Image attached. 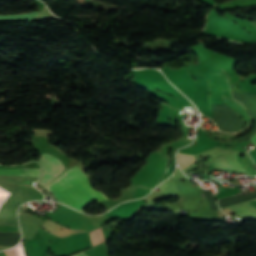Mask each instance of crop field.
Returning a JSON list of instances; mask_svg holds the SVG:
<instances>
[{
	"instance_id": "8a807250",
	"label": "crop field",
	"mask_w": 256,
	"mask_h": 256,
	"mask_svg": "<svg viewBox=\"0 0 256 256\" xmlns=\"http://www.w3.org/2000/svg\"><path fill=\"white\" fill-rule=\"evenodd\" d=\"M66 172L93 201L108 199L102 193L92 189L85 175L78 166L72 167ZM66 172L45 187H47L49 191L57 197L59 201L82 211L85 206L93 203V201L68 176Z\"/></svg>"
},
{
	"instance_id": "ac0d7876",
	"label": "crop field",
	"mask_w": 256,
	"mask_h": 256,
	"mask_svg": "<svg viewBox=\"0 0 256 256\" xmlns=\"http://www.w3.org/2000/svg\"><path fill=\"white\" fill-rule=\"evenodd\" d=\"M168 165V157L156 151L148 155L146 165L143 166L131 179V186L154 188L164 176ZM129 188V187H128Z\"/></svg>"
},
{
	"instance_id": "34b2d1b8",
	"label": "crop field",
	"mask_w": 256,
	"mask_h": 256,
	"mask_svg": "<svg viewBox=\"0 0 256 256\" xmlns=\"http://www.w3.org/2000/svg\"><path fill=\"white\" fill-rule=\"evenodd\" d=\"M39 161L42 164V185L50 183L65 169L58 158L47 153L42 154Z\"/></svg>"
},
{
	"instance_id": "412701ff",
	"label": "crop field",
	"mask_w": 256,
	"mask_h": 256,
	"mask_svg": "<svg viewBox=\"0 0 256 256\" xmlns=\"http://www.w3.org/2000/svg\"><path fill=\"white\" fill-rule=\"evenodd\" d=\"M1 175H26V176H38V169H2Z\"/></svg>"
},
{
	"instance_id": "f4fd0767",
	"label": "crop field",
	"mask_w": 256,
	"mask_h": 256,
	"mask_svg": "<svg viewBox=\"0 0 256 256\" xmlns=\"http://www.w3.org/2000/svg\"><path fill=\"white\" fill-rule=\"evenodd\" d=\"M224 102L227 106L234 109L243 118V120H245L247 122V125H249L250 118H249L246 110L240 104H238L230 99H224Z\"/></svg>"
},
{
	"instance_id": "dd49c442",
	"label": "crop field",
	"mask_w": 256,
	"mask_h": 256,
	"mask_svg": "<svg viewBox=\"0 0 256 256\" xmlns=\"http://www.w3.org/2000/svg\"><path fill=\"white\" fill-rule=\"evenodd\" d=\"M177 160L181 169L190 165L194 160L193 155L177 153Z\"/></svg>"
},
{
	"instance_id": "e52e79f7",
	"label": "crop field",
	"mask_w": 256,
	"mask_h": 256,
	"mask_svg": "<svg viewBox=\"0 0 256 256\" xmlns=\"http://www.w3.org/2000/svg\"><path fill=\"white\" fill-rule=\"evenodd\" d=\"M89 234L91 236L93 246L104 241L103 232L101 228L93 230L89 232Z\"/></svg>"
},
{
	"instance_id": "d8731c3e",
	"label": "crop field",
	"mask_w": 256,
	"mask_h": 256,
	"mask_svg": "<svg viewBox=\"0 0 256 256\" xmlns=\"http://www.w3.org/2000/svg\"><path fill=\"white\" fill-rule=\"evenodd\" d=\"M213 76L219 82L221 90H225V89H229L230 88L228 78H227V76L225 74L214 73Z\"/></svg>"
},
{
	"instance_id": "5a996713",
	"label": "crop field",
	"mask_w": 256,
	"mask_h": 256,
	"mask_svg": "<svg viewBox=\"0 0 256 256\" xmlns=\"http://www.w3.org/2000/svg\"><path fill=\"white\" fill-rule=\"evenodd\" d=\"M6 256H25V252L22 246V243H20L18 246L4 251Z\"/></svg>"
},
{
	"instance_id": "3316defc",
	"label": "crop field",
	"mask_w": 256,
	"mask_h": 256,
	"mask_svg": "<svg viewBox=\"0 0 256 256\" xmlns=\"http://www.w3.org/2000/svg\"><path fill=\"white\" fill-rule=\"evenodd\" d=\"M11 193L7 192L6 190L0 188V206L3 202L8 198Z\"/></svg>"
},
{
	"instance_id": "28ad6ade",
	"label": "crop field",
	"mask_w": 256,
	"mask_h": 256,
	"mask_svg": "<svg viewBox=\"0 0 256 256\" xmlns=\"http://www.w3.org/2000/svg\"><path fill=\"white\" fill-rule=\"evenodd\" d=\"M250 139H251L252 143H253L254 145H256V135H254V136L251 137Z\"/></svg>"
},
{
	"instance_id": "d1516ede",
	"label": "crop field",
	"mask_w": 256,
	"mask_h": 256,
	"mask_svg": "<svg viewBox=\"0 0 256 256\" xmlns=\"http://www.w3.org/2000/svg\"><path fill=\"white\" fill-rule=\"evenodd\" d=\"M73 256H85V255L82 254L81 252H79V253H77V254H75V255H73Z\"/></svg>"
}]
</instances>
